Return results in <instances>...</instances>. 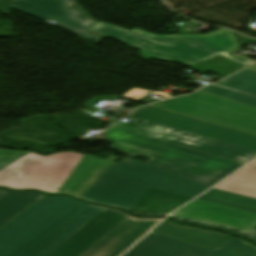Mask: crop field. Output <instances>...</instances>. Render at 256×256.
Returning a JSON list of instances; mask_svg holds the SVG:
<instances>
[{
    "label": "crop field",
    "instance_id": "obj_23",
    "mask_svg": "<svg viewBox=\"0 0 256 256\" xmlns=\"http://www.w3.org/2000/svg\"><path fill=\"white\" fill-rule=\"evenodd\" d=\"M29 151H7L0 150V169L4 168L8 164L22 157Z\"/></svg>",
    "mask_w": 256,
    "mask_h": 256
},
{
    "label": "crop field",
    "instance_id": "obj_30",
    "mask_svg": "<svg viewBox=\"0 0 256 256\" xmlns=\"http://www.w3.org/2000/svg\"><path fill=\"white\" fill-rule=\"evenodd\" d=\"M248 69H251V70H255V71H256V65H254V66H252V67H250V68H248Z\"/></svg>",
    "mask_w": 256,
    "mask_h": 256
},
{
    "label": "crop field",
    "instance_id": "obj_10",
    "mask_svg": "<svg viewBox=\"0 0 256 256\" xmlns=\"http://www.w3.org/2000/svg\"><path fill=\"white\" fill-rule=\"evenodd\" d=\"M173 215L182 219L197 220L212 225H224L244 233L256 226V214L196 199Z\"/></svg>",
    "mask_w": 256,
    "mask_h": 256
},
{
    "label": "crop field",
    "instance_id": "obj_28",
    "mask_svg": "<svg viewBox=\"0 0 256 256\" xmlns=\"http://www.w3.org/2000/svg\"><path fill=\"white\" fill-rule=\"evenodd\" d=\"M255 229H256V227H255ZM248 235H251V236H253V237H256V232H255V233L250 232Z\"/></svg>",
    "mask_w": 256,
    "mask_h": 256
},
{
    "label": "crop field",
    "instance_id": "obj_27",
    "mask_svg": "<svg viewBox=\"0 0 256 256\" xmlns=\"http://www.w3.org/2000/svg\"><path fill=\"white\" fill-rule=\"evenodd\" d=\"M7 193V191H4V190H1L0 189V198L3 196V195H5Z\"/></svg>",
    "mask_w": 256,
    "mask_h": 256
},
{
    "label": "crop field",
    "instance_id": "obj_2",
    "mask_svg": "<svg viewBox=\"0 0 256 256\" xmlns=\"http://www.w3.org/2000/svg\"><path fill=\"white\" fill-rule=\"evenodd\" d=\"M87 32L103 39H118L139 49L144 59L180 62L185 66L240 48L234 33L223 29L207 35H156L139 29L128 31L97 22Z\"/></svg>",
    "mask_w": 256,
    "mask_h": 256
},
{
    "label": "crop field",
    "instance_id": "obj_22",
    "mask_svg": "<svg viewBox=\"0 0 256 256\" xmlns=\"http://www.w3.org/2000/svg\"><path fill=\"white\" fill-rule=\"evenodd\" d=\"M116 126L122 128L124 130L136 132V133L147 135V136L154 137V138H156L172 129V128H168V127L158 125V124H155L152 122H148L145 120H143L136 126L122 123V122L118 123Z\"/></svg>",
    "mask_w": 256,
    "mask_h": 256
},
{
    "label": "crop field",
    "instance_id": "obj_21",
    "mask_svg": "<svg viewBox=\"0 0 256 256\" xmlns=\"http://www.w3.org/2000/svg\"><path fill=\"white\" fill-rule=\"evenodd\" d=\"M200 92H204L207 94H211L214 96H218L221 98H225L228 100H232L235 102H239L242 104L256 107V97L246 95L243 93H239V92H235L232 90H228L225 88H221L218 86H214V85L207 86V87L203 88Z\"/></svg>",
    "mask_w": 256,
    "mask_h": 256
},
{
    "label": "crop field",
    "instance_id": "obj_11",
    "mask_svg": "<svg viewBox=\"0 0 256 256\" xmlns=\"http://www.w3.org/2000/svg\"><path fill=\"white\" fill-rule=\"evenodd\" d=\"M127 216L122 212L104 209L50 256H82Z\"/></svg>",
    "mask_w": 256,
    "mask_h": 256
},
{
    "label": "crop field",
    "instance_id": "obj_29",
    "mask_svg": "<svg viewBox=\"0 0 256 256\" xmlns=\"http://www.w3.org/2000/svg\"><path fill=\"white\" fill-rule=\"evenodd\" d=\"M249 165L256 166V160H254L253 162H251Z\"/></svg>",
    "mask_w": 256,
    "mask_h": 256
},
{
    "label": "crop field",
    "instance_id": "obj_25",
    "mask_svg": "<svg viewBox=\"0 0 256 256\" xmlns=\"http://www.w3.org/2000/svg\"><path fill=\"white\" fill-rule=\"evenodd\" d=\"M238 50H240V49H237L235 51L226 53V54L221 55V56L230 60V61H232V62H234V63H236V64H238V65H240V66H242L243 68L256 61V60H253V59L245 57V56L237 57V56L232 54V53H234Z\"/></svg>",
    "mask_w": 256,
    "mask_h": 256
},
{
    "label": "crop field",
    "instance_id": "obj_8",
    "mask_svg": "<svg viewBox=\"0 0 256 256\" xmlns=\"http://www.w3.org/2000/svg\"><path fill=\"white\" fill-rule=\"evenodd\" d=\"M12 8L47 23L53 21L92 42L102 41L85 31L97 21L85 14L75 0H12Z\"/></svg>",
    "mask_w": 256,
    "mask_h": 256
},
{
    "label": "crop field",
    "instance_id": "obj_17",
    "mask_svg": "<svg viewBox=\"0 0 256 256\" xmlns=\"http://www.w3.org/2000/svg\"><path fill=\"white\" fill-rule=\"evenodd\" d=\"M44 195L34 192L12 193L9 192L0 199V227L23 212L29 206L41 199Z\"/></svg>",
    "mask_w": 256,
    "mask_h": 256
},
{
    "label": "crop field",
    "instance_id": "obj_16",
    "mask_svg": "<svg viewBox=\"0 0 256 256\" xmlns=\"http://www.w3.org/2000/svg\"><path fill=\"white\" fill-rule=\"evenodd\" d=\"M192 199L150 187L130 211L139 215L168 214Z\"/></svg>",
    "mask_w": 256,
    "mask_h": 256
},
{
    "label": "crop field",
    "instance_id": "obj_19",
    "mask_svg": "<svg viewBox=\"0 0 256 256\" xmlns=\"http://www.w3.org/2000/svg\"><path fill=\"white\" fill-rule=\"evenodd\" d=\"M199 199L251 211L256 213V199L212 189Z\"/></svg>",
    "mask_w": 256,
    "mask_h": 256
},
{
    "label": "crop field",
    "instance_id": "obj_18",
    "mask_svg": "<svg viewBox=\"0 0 256 256\" xmlns=\"http://www.w3.org/2000/svg\"><path fill=\"white\" fill-rule=\"evenodd\" d=\"M215 188L256 198V167L245 166Z\"/></svg>",
    "mask_w": 256,
    "mask_h": 256
},
{
    "label": "crop field",
    "instance_id": "obj_7",
    "mask_svg": "<svg viewBox=\"0 0 256 256\" xmlns=\"http://www.w3.org/2000/svg\"><path fill=\"white\" fill-rule=\"evenodd\" d=\"M125 256H256V247L234 238L212 251L152 231Z\"/></svg>",
    "mask_w": 256,
    "mask_h": 256
},
{
    "label": "crop field",
    "instance_id": "obj_15",
    "mask_svg": "<svg viewBox=\"0 0 256 256\" xmlns=\"http://www.w3.org/2000/svg\"><path fill=\"white\" fill-rule=\"evenodd\" d=\"M154 231L185 240L209 249H216L233 237L217 231L202 230L190 226L179 225L165 220Z\"/></svg>",
    "mask_w": 256,
    "mask_h": 256
},
{
    "label": "crop field",
    "instance_id": "obj_12",
    "mask_svg": "<svg viewBox=\"0 0 256 256\" xmlns=\"http://www.w3.org/2000/svg\"><path fill=\"white\" fill-rule=\"evenodd\" d=\"M160 220H138L127 217L83 256H120Z\"/></svg>",
    "mask_w": 256,
    "mask_h": 256
},
{
    "label": "crop field",
    "instance_id": "obj_24",
    "mask_svg": "<svg viewBox=\"0 0 256 256\" xmlns=\"http://www.w3.org/2000/svg\"><path fill=\"white\" fill-rule=\"evenodd\" d=\"M149 93L170 98L168 93H165V92H151V91L142 90V89H138V88H135L133 90L128 91L124 95V97L138 101V100H140L141 98H143L144 96H146Z\"/></svg>",
    "mask_w": 256,
    "mask_h": 256
},
{
    "label": "crop field",
    "instance_id": "obj_3",
    "mask_svg": "<svg viewBox=\"0 0 256 256\" xmlns=\"http://www.w3.org/2000/svg\"><path fill=\"white\" fill-rule=\"evenodd\" d=\"M115 143L110 148L122 150L132 156L144 154L153 157L148 164L191 179L208 187L241 167L233 161L191 150L154 138L121 130L117 127L106 132Z\"/></svg>",
    "mask_w": 256,
    "mask_h": 256
},
{
    "label": "crop field",
    "instance_id": "obj_4",
    "mask_svg": "<svg viewBox=\"0 0 256 256\" xmlns=\"http://www.w3.org/2000/svg\"><path fill=\"white\" fill-rule=\"evenodd\" d=\"M150 186L193 198L209 189L191 180L127 158L107 167L83 198L131 209Z\"/></svg>",
    "mask_w": 256,
    "mask_h": 256
},
{
    "label": "crop field",
    "instance_id": "obj_1",
    "mask_svg": "<svg viewBox=\"0 0 256 256\" xmlns=\"http://www.w3.org/2000/svg\"><path fill=\"white\" fill-rule=\"evenodd\" d=\"M102 210L47 197L0 231V256H48Z\"/></svg>",
    "mask_w": 256,
    "mask_h": 256
},
{
    "label": "crop field",
    "instance_id": "obj_13",
    "mask_svg": "<svg viewBox=\"0 0 256 256\" xmlns=\"http://www.w3.org/2000/svg\"><path fill=\"white\" fill-rule=\"evenodd\" d=\"M157 139H161L167 142L185 146L191 149L209 153L243 164L256 157V152H252L207 137L175 129L165 133Z\"/></svg>",
    "mask_w": 256,
    "mask_h": 256
},
{
    "label": "crop field",
    "instance_id": "obj_14",
    "mask_svg": "<svg viewBox=\"0 0 256 256\" xmlns=\"http://www.w3.org/2000/svg\"><path fill=\"white\" fill-rule=\"evenodd\" d=\"M118 158L119 157L110 155V157L105 160L85 155L59 193L72 194L81 198L102 174L105 168Z\"/></svg>",
    "mask_w": 256,
    "mask_h": 256
},
{
    "label": "crop field",
    "instance_id": "obj_9",
    "mask_svg": "<svg viewBox=\"0 0 256 256\" xmlns=\"http://www.w3.org/2000/svg\"><path fill=\"white\" fill-rule=\"evenodd\" d=\"M131 116L149 120L175 129L207 136L245 149L256 151V136L154 107H144Z\"/></svg>",
    "mask_w": 256,
    "mask_h": 256
},
{
    "label": "crop field",
    "instance_id": "obj_26",
    "mask_svg": "<svg viewBox=\"0 0 256 256\" xmlns=\"http://www.w3.org/2000/svg\"><path fill=\"white\" fill-rule=\"evenodd\" d=\"M11 11V0H0V12L8 14Z\"/></svg>",
    "mask_w": 256,
    "mask_h": 256
},
{
    "label": "crop field",
    "instance_id": "obj_5",
    "mask_svg": "<svg viewBox=\"0 0 256 256\" xmlns=\"http://www.w3.org/2000/svg\"><path fill=\"white\" fill-rule=\"evenodd\" d=\"M83 156L61 152L44 157L30 152L0 170V186L58 193Z\"/></svg>",
    "mask_w": 256,
    "mask_h": 256
},
{
    "label": "crop field",
    "instance_id": "obj_6",
    "mask_svg": "<svg viewBox=\"0 0 256 256\" xmlns=\"http://www.w3.org/2000/svg\"><path fill=\"white\" fill-rule=\"evenodd\" d=\"M256 135V108L196 92L150 105Z\"/></svg>",
    "mask_w": 256,
    "mask_h": 256
},
{
    "label": "crop field",
    "instance_id": "obj_20",
    "mask_svg": "<svg viewBox=\"0 0 256 256\" xmlns=\"http://www.w3.org/2000/svg\"><path fill=\"white\" fill-rule=\"evenodd\" d=\"M216 85L256 96V72L246 69Z\"/></svg>",
    "mask_w": 256,
    "mask_h": 256
}]
</instances>
